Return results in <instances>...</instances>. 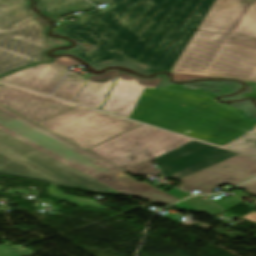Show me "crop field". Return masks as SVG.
<instances>
[{
    "mask_svg": "<svg viewBox=\"0 0 256 256\" xmlns=\"http://www.w3.org/2000/svg\"><path fill=\"white\" fill-rule=\"evenodd\" d=\"M118 73V70H110L99 76L91 74L76 102L100 109Z\"/></svg>",
    "mask_w": 256,
    "mask_h": 256,
    "instance_id": "obj_14",
    "label": "crop field"
},
{
    "mask_svg": "<svg viewBox=\"0 0 256 256\" xmlns=\"http://www.w3.org/2000/svg\"><path fill=\"white\" fill-rule=\"evenodd\" d=\"M164 77L121 72L101 110L218 145L256 126V110L230 111L208 97L156 90Z\"/></svg>",
    "mask_w": 256,
    "mask_h": 256,
    "instance_id": "obj_2",
    "label": "crop field"
},
{
    "mask_svg": "<svg viewBox=\"0 0 256 256\" xmlns=\"http://www.w3.org/2000/svg\"><path fill=\"white\" fill-rule=\"evenodd\" d=\"M230 192H233L235 193L234 195L230 196V197H220L218 198L217 200H212L210 199L211 201H213L214 203H216L218 206H220L221 208L224 209V211L234 207L235 205L245 201L243 200L242 198L248 196L247 194L237 190V189H234ZM219 196L221 194H218Z\"/></svg>",
    "mask_w": 256,
    "mask_h": 256,
    "instance_id": "obj_20",
    "label": "crop field"
},
{
    "mask_svg": "<svg viewBox=\"0 0 256 256\" xmlns=\"http://www.w3.org/2000/svg\"><path fill=\"white\" fill-rule=\"evenodd\" d=\"M253 133H255V134H256V130H255V131H253Z\"/></svg>",
    "mask_w": 256,
    "mask_h": 256,
    "instance_id": "obj_29",
    "label": "crop field"
},
{
    "mask_svg": "<svg viewBox=\"0 0 256 256\" xmlns=\"http://www.w3.org/2000/svg\"><path fill=\"white\" fill-rule=\"evenodd\" d=\"M25 0H0V30H7L31 17Z\"/></svg>",
    "mask_w": 256,
    "mask_h": 256,
    "instance_id": "obj_15",
    "label": "crop field"
},
{
    "mask_svg": "<svg viewBox=\"0 0 256 256\" xmlns=\"http://www.w3.org/2000/svg\"><path fill=\"white\" fill-rule=\"evenodd\" d=\"M107 8L60 25L93 64L135 62L148 71L172 69L215 0H89Z\"/></svg>",
    "mask_w": 256,
    "mask_h": 256,
    "instance_id": "obj_1",
    "label": "crop field"
},
{
    "mask_svg": "<svg viewBox=\"0 0 256 256\" xmlns=\"http://www.w3.org/2000/svg\"><path fill=\"white\" fill-rule=\"evenodd\" d=\"M49 26L46 21L36 15L35 17L5 31L12 35L18 36L35 44L41 45L48 49L70 45V42L64 39H53L46 35Z\"/></svg>",
    "mask_w": 256,
    "mask_h": 256,
    "instance_id": "obj_13",
    "label": "crop field"
},
{
    "mask_svg": "<svg viewBox=\"0 0 256 256\" xmlns=\"http://www.w3.org/2000/svg\"><path fill=\"white\" fill-rule=\"evenodd\" d=\"M39 9L50 19L73 12L94 9L85 0H36Z\"/></svg>",
    "mask_w": 256,
    "mask_h": 256,
    "instance_id": "obj_16",
    "label": "crop field"
},
{
    "mask_svg": "<svg viewBox=\"0 0 256 256\" xmlns=\"http://www.w3.org/2000/svg\"><path fill=\"white\" fill-rule=\"evenodd\" d=\"M227 166V168H224ZM256 177V159L239 154L200 173L180 180V189L192 192L197 189L204 194L223 184L236 186Z\"/></svg>",
    "mask_w": 256,
    "mask_h": 256,
    "instance_id": "obj_8",
    "label": "crop field"
},
{
    "mask_svg": "<svg viewBox=\"0 0 256 256\" xmlns=\"http://www.w3.org/2000/svg\"><path fill=\"white\" fill-rule=\"evenodd\" d=\"M47 50L5 32H0V77L32 64L53 61V58L46 56Z\"/></svg>",
    "mask_w": 256,
    "mask_h": 256,
    "instance_id": "obj_10",
    "label": "crop field"
},
{
    "mask_svg": "<svg viewBox=\"0 0 256 256\" xmlns=\"http://www.w3.org/2000/svg\"><path fill=\"white\" fill-rule=\"evenodd\" d=\"M171 73L174 81L256 82V0H216Z\"/></svg>",
    "mask_w": 256,
    "mask_h": 256,
    "instance_id": "obj_3",
    "label": "crop field"
},
{
    "mask_svg": "<svg viewBox=\"0 0 256 256\" xmlns=\"http://www.w3.org/2000/svg\"><path fill=\"white\" fill-rule=\"evenodd\" d=\"M52 64L57 65L55 68L57 69H65L68 70V68L72 65L78 64L76 61H74L71 58L68 57H62V58H57Z\"/></svg>",
    "mask_w": 256,
    "mask_h": 256,
    "instance_id": "obj_22",
    "label": "crop field"
},
{
    "mask_svg": "<svg viewBox=\"0 0 256 256\" xmlns=\"http://www.w3.org/2000/svg\"><path fill=\"white\" fill-rule=\"evenodd\" d=\"M209 197V196H207ZM202 196H196L190 199H187L183 202L211 215L214 216L218 213H220V209H218L216 206H214L212 203H210L209 201L204 202L201 200Z\"/></svg>",
    "mask_w": 256,
    "mask_h": 256,
    "instance_id": "obj_21",
    "label": "crop field"
},
{
    "mask_svg": "<svg viewBox=\"0 0 256 256\" xmlns=\"http://www.w3.org/2000/svg\"><path fill=\"white\" fill-rule=\"evenodd\" d=\"M237 188H245V189H247L246 192L256 196V179L253 180V181H250V182H248L246 184H243V185H241V186H239Z\"/></svg>",
    "mask_w": 256,
    "mask_h": 256,
    "instance_id": "obj_24",
    "label": "crop field"
},
{
    "mask_svg": "<svg viewBox=\"0 0 256 256\" xmlns=\"http://www.w3.org/2000/svg\"><path fill=\"white\" fill-rule=\"evenodd\" d=\"M0 104L37 123L77 105L0 82Z\"/></svg>",
    "mask_w": 256,
    "mask_h": 256,
    "instance_id": "obj_9",
    "label": "crop field"
},
{
    "mask_svg": "<svg viewBox=\"0 0 256 256\" xmlns=\"http://www.w3.org/2000/svg\"><path fill=\"white\" fill-rule=\"evenodd\" d=\"M37 124L85 150L140 125L80 106Z\"/></svg>",
    "mask_w": 256,
    "mask_h": 256,
    "instance_id": "obj_7",
    "label": "crop field"
},
{
    "mask_svg": "<svg viewBox=\"0 0 256 256\" xmlns=\"http://www.w3.org/2000/svg\"><path fill=\"white\" fill-rule=\"evenodd\" d=\"M228 148L256 156V136L249 134L245 138L229 145Z\"/></svg>",
    "mask_w": 256,
    "mask_h": 256,
    "instance_id": "obj_19",
    "label": "crop field"
},
{
    "mask_svg": "<svg viewBox=\"0 0 256 256\" xmlns=\"http://www.w3.org/2000/svg\"><path fill=\"white\" fill-rule=\"evenodd\" d=\"M0 131L75 168L120 192L152 202L170 205L179 201L146 182L136 183L127 172L73 145L59 136L0 105Z\"/></svg>",
    "mask_w": 256,
    "mask_h": 256,
    "instance_id": "obj_5",
    "label": "crop field"
},
{
    "mask_svg": "<svg viewBox=\"0 0 256 256\" xmlns=\"http://www.w3.org/2000/svg\"><path fill=\"white\" fill-rule=\"evenodd\" d=\"M241 218L249 220L251 222H256V211H254V212H252L250 214H247V215H245V216H243Z\"/></svg>",
    "mask_w": 256,
    "mask_h": 256,
    "instance_id": "obj_28",
    "label": "crop field"
},
{
    "mask_svg": "<svg viewBox=\"0 0 256 256\" xmlns=\"http://www.w3.org/2000/svg\"><path fill=\"white\" fill-rule=\"evenodd\" d=\"M188 85L196 87L197 89L189 90L185 87H182L181 85L170 83L166 78L159 89L199 95V96H208L216 103L230 110L256 109L254 104L251 102V100H246L244 102H235V103H231V105H224L215 100L217 96L230 95L234 92L239 91L242 88V84L240 83H236L233 81H200V82L188 83ZM211 90H218L219 92L217 93Z\"/></svg>",
    "mask_w": 256,
    "mask_h": 256,
    "instance_id": "obj_11",
    "label": "crop field"
},
{
    "mask_svg": "<svg viewBox=\"0 0 256 256\" xmlns=\"http://www.w3.org/2000/svg\"><path fill=\"white\" fill-rule=\"evenodd\" d=\"M175 207H178V208H182V209H184V210H186V211H195V212H200L199 210H197V209H195V208H193V207H191V206H189V205H187V204H185V203H183V202H181V203H179V204H176V205H174Z\"/></svg>",
    "mask_w": 256,
    "mask_h": 256,
    "instance_id": "obj_27",
    "label": "crop field"
},
{
    "mask_svg": "<svg viewBox=\"0 0 256 256\" xmlns=\"http://www.w3.org/2000/svg\"><path fill=\"white\" fill-rule=\"evenodd\" d=\"M248 85H251L253 86L254 88V91L250 94H244V93H241L239 95H234L230 98H222L221 100L222 101H227V100H239V99H242L243 97H253V98H256V85L255 84H250L248 83Z\"/></svg>",
    "mask_w": 256,
    "mask_h": 256,
    "instance_id": "obj_23",
    "label": "crop field"
},
{
    "mask_svg": "<svg viewBox=\"0 0 256 256\" xmlns=\"http://www.w3.org/2000/svg\"><path fill=\"white\" fill-rule=\"evenodd\" d=\"M54 66L52 64H41L21 70L1 80L51 94L66 72L65 70L54 69Z\"/></svg>",
    "mask_w": 256,
    "mask_h": 256,
    "instance_id": "obj_12",
    "label": "crop field"
},
{
    "mask_svg": "<svg viewBox=\"0 0 256 256\" xmlns=\"http://www.w3.org/2000/svg\"><path fill=\"white\" fill-rule=\"evenodd\" d=\"M87 151L132 175L160 172L154 160L165 177L176 180L239 154L143 125Z\"/></svg>",
    "mask_w": 256,
    "mask_h": 256,
    "instance_id": "obj_4",
    "label": "crop field"
},
{
    "mask_svg": "<svg viewBox=\"0 0 256 256\" xmlns=\"http://www.w3.org/2000/svg\"><path fill=\"white\" fill-rule=\"evenodd\" d=\"M56 27V30H55V34H60V35H64V36H67L69 37L68 35H66L65 33L61 32L59 27L58 26H55ZM70 38V37H69ZM72 39V38H71ZM74 40V39H73ZM75 41V40H74ZM76 42V41H75ZM77 43V42H76ZM78 44V43H77ZM82 46V45H81ZM79 44L71 49V50H56V51H53L54 54H59V53H68L70 55H73L75 57H78V54L85 51V49L83 47H81ZM79 58V57H78ZM93 68H95L96 70H102L103 68H105L106 66H125L135 72H138L140 74H143V75H149L151 74L150 72L148 71H145L144 69L140 68L139 66H137L136 64L134 63H129V62H116V63H105V64H102V65H93V64H90ZM165 71H169L170 70H165Z\"/></svg>",
    "mask_w": 256,
    "mask_h": 256,
    "instance_id": "obj_18",
    "label": "crop field"
},
{
    "mask_svg": "<svg viewBox=\"0 0 256 256\" xmlns=\"http://www.w3.org/2000/svg\"><path fill=\"white\" fill-rule=\"evenodd\" d=\"M0 174L51 184L46 190L50 195L79 206L107 209L93 200L77 198L61 193L55 190L56 187L68 186L87 191L117 194L109 188L2 132H0Z\"/></svg>",
    "mask_w": 256,
    "mask_h": 256,
    "instance_id": "obj_6",
    "label": "crop field"
},
{
    "mask_svg": "<svg viewBox=\"0 0 256 256\" xmlns=\"http://www.w3.org/2000/svg\"><path fill=\"white\" fill-rule=\"evenodd\" d=\"M0 256H20L18 253L10 249L8 246H0Z\"/></svg>",
    "mask_w": 256,
    "mask_h": 256,
    "instance_id": "obj_26",
    "label": "crop field"
},
{
    "mask_svg": "<svg viewBox=\"0 0 256 256\" xmlns=\"http://www.w3.org/2000/svg\"><path fill=\"white\" fill-rule=\"evenodd\" d=\"M86 81L79 74L68 72L53 95L75 101Z\"/></svg>",
    "mask_w": 256,
    "mask_h": 256,
    "instance_id": "obj_17",
    "label": "crop field"
},
{
    "mask_svg": "<svg viewBox=\"0 0 256 256\" xmlns=\"http://www.w3.org/2000/svg\"><path fill=\"white\" fill-rule=\"evenodd\" d=\"M166 193H168V194H170V195H172V196H174V197H176V198H178L180 200L185 198V197H187V196H189V195H191V194H189L187 192L181 191V190L176 189V188H174V189H172V190H170V191H168Z\"/></svg>",
    "mask_w": 256,
    "mask_h": 256,
    "instance_id": "obj_25",
    "label": "crop field"
}]
</instances>
